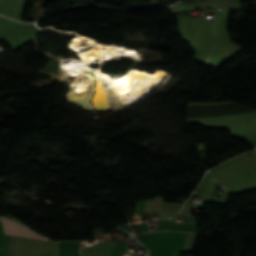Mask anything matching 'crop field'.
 Masks as SVG:
<instances>
[{"label": "crop field", "mask_w": 256, "mask_h": 256, "mask_svg": "<svg viewBox=\"0 0 256 256\" xmlns=\"http://www.w3.org/2000/svg\"><path fill=\"white\" fill-rule=\"evenodd\" d=\"M0 222L3 227L4 234L19 235V236L37 238V239H47L31 231L30 229L22 225H19L17 223H14L8 219L0 217Z\"/></svg>", "instance_id": "crop-field-1"}]
</instances>
